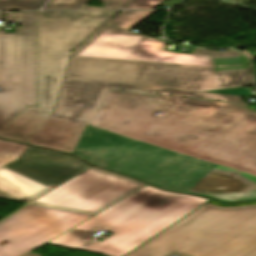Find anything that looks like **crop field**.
I'll use <instances>...</instances> for the list:
<instances>
[{
  "instance_id": "1",
  "label": "crop field",
  "mask_w": 256,
  "mask_h": 256,
  "mask_svg": "<svg viewBox=\"0 0 256 256\" xmlns=\"http://www.w3.org/2000/svg\"><path fill=\"white\" fill-rule=\"evenodd\" d=\"M73 154L188 192L218 164L256 175V113L231 103L110 89Z\"/></svg>"
},
{
  "instance_id": "2",
  "label": "crop field",
  "mask_w": 256,
  "mask_h": 256,
  "mask_svg": "<svg viewBox=\"0 0 256 256\" xmlns=\"http://www.w3.org/2000/svg\"><path fill=\"white\" fill-rule=\"evenodd\" d=\"M167 44L105 25L73 51L65 77L197 92L253 84L239 52L187 55L165 51Z\"/></svg>"
},
{
  "instance_id": "3",
  "label": "crop field",
  "mask_w": 256,
  "mask_h": 256,
  "mask_svg": "<svg viewBox=\"0 0 256 256\" xmlns=\"http://www.w3.org/2000/svg\"><path fill=\"white\" fill-rule=\"evenodd\" d=\"M207 201L147 186L47 244L82 251L102 228L114 234L86 250L122 256Z\"/></svg>"
},
{
  "instance_id": "4",
  "label": "crop field",
  "mask_w": 256,
  "mask_h": 256,
  "mask_svg": "<svg viewBox=\"0 0 256 256\" xmlns=\"http://www.w3.org/2000/svg\"><path fill=\"white\" fill-rule=\"evenodd\" d=\"M121 11L39 12V108L28 107L0 137L29 144L53 114L72 50Z\"/></svg>"
},
{
  "instance_id": "5",
  "label": "crop field",
  "mask_w": 256,
  "mask_h": 256,
  "mask_svg": "<svg viewBox=\"0 0 256 256\" xmlns=\"http://www.w3.org/2000/svg\"><path fill=\"white\" fill-rule=\"evenodd\" d=\"M256 256V205L203 204L124 256Z\"/></svg>"
},
{
  "instance_id": "6",
  "label": "crop field",
  "mask_w": 256,
  "mask_h": 256,
  "mask_svg": "<svg viewBox=\"0 0 256 256\" xmlns=\"http://www.w3.org/2000/svg\"><path fill=\"white\" fill-rule=\"evenodd\" d=\"M109 88L212 99L248 107L235 96L65 78L54 114L31 144L72 153L85 123H92Z\"/></svg>"
},
{
  "instance_id": "7",
  "label": "crop field",
  "mask_w": 256,
  "mask_h": 256,
  "mask_svg": "<svg viewBox=\"0 0 256 256\" xmlns=\"http://www.w3.org/2000/svg\"><path fill=\"white\" fill-rule=\"evenodd\" d=\"M37 21V12H8L20 28L1 33L0 132L28 106L38 107Z\"/></svg>"
},
{
  "instance_id": "8",
  "label": "crop field",
  "mask_w": 256,
  "mask_h": 256,
  "mask_svg": "<svg viewBox=\"0 0 256 256\" xmlns=\"http://www.w3.org/2000/svg\"><path fill=\"white\" fill-rule=\"evenodd\" d=\"M145 186L126 176L91 167L31 204L95 215Z\"/></svg>"
},
{
  "instance_id": "9",
  "label": "crop field",
  "mask_w": 256,
  "mask_h": 256,
  "mask_svg": "<svg viewBox=\"0 0 256 256\" xmlns=\"http://www.w3.org/2000/svg\"><path fill=\"white\" fill-rule=\"evenodd\" d=\"M92 217L28 204L0 223V256H22ZM40 248V247H39Z\"/></svg>"
},
{
  "instance_id": "10",
  "label": "crop field",
  "mask_w": 256,
  "mask_h": 256,
  "mask_svg": "<svg viewBox=\"0 0 256 256\" xmlns=\"http://www.w3.org/2000/svg\"><path fill=\"white\" fill-rule=\"evenodd\" d=\"M4 167L46 186L57 187L91 166L71 156L27 146L16 162Z\"/></svg>"
},
{
  "instance_id": "11",
  "label": "crop field",
  "mask_w": 256,
  "mask_h": 256,
  "mask_svg": "<svg viewBox=\"0 0 256 256\" xmlns=\"http://www.w3.org/2000/svg\"><path fill=\"white\" fill-rule=\"evenodd\" d=\"M188 193L225 202L256 199V176L218 165Z\"/></svg>"
},
{
  "instance_id": "12",
  "label": "crop field",
  "mask_w": 256,
  "mask_h": 256,
  "mask_svg": "<svg viewBox=\"0 0 256 256\" xmlns=\"http://www.w3.org/2000/svg\"><path fill=\"white\" fill-rule=\"evenodd\" d=\"M36 181L22 177L5 168H0V198L21 201L30 200L49 190Z\"/></svg>"
},
{
  "instance_id": "13",
  "label": "crop field",
  "mask_w": 256,
  "mask_h": 256,
  "mask_svg": "<svg viewBox=\"0 0 256 256\" xmlns=\"http://www.w3.org/2000/svg\"><path fill=\"white\" fill-rule=\"evenodd\" d=\"M48 0H0V10H40ZM87 0H51L44 9H80Z\"/></svg>"
},
{
  "instance_id": "14",
  "label": "crop field",
  "mask_w": 256,
  "mask_h": 256,
  "mask_svg": "<svg viewBox=\"0 0 256 256\" xmlns=\"http://www.w3.org/2000/svg\"><path fill=\"white\" fill-rule=\"evenodd\" d=\"M154 12L156 11H122L110 20L108 24L130 30Z\"/></svg>"
},
{
  "instance_id": "15",
  "label": "crop field",
  "mask_w": 256,
  "mask_h": 256,
  "mask_svg": "<svg viewBox=\"0 0 256 256\" xmlns=\"http://www.w3.org/2000/svg\"><path fill=\"white\" fill-rule=\"evenodd\" d=\"M25 147V145L0 140V167L9 162L16 161Z\"/></svg>"
},
{
  "instance_id": "16",
  "label": "crop field",
  "mask_w": 256,
  "mask_h": 256,
  "mask_svg": "<svg viewBox=\"0 0 256 256\" xmlns=\"http://www.w3.org/2000/svg\"><path fill=\"white\" fill-rule=\"evenodd\" d=\"M103 7L84 6L83 9H122L132 0H99Z\"/></svg>"
},
{
  "instance_id": "17",
  "label": "crop field",
  "mask_w": 256,
  "mask_h": 256,
  "mask_svg": "<svg viewBox=\"0 0 256 256\" xmlns=\"http://www.w3.org/2000/svg\"><path fill=\"white\" fill-rule=\"evenodd\" d=\"M163 0H134L125 9H154Z\"/></svg>"
},
{
  "instance_id": "18",
  "label": "crop field",
  "mask_w": 256,
  "mask_h": 256,
  "mask_svg": "<svg viewBox=\"0 0 256 256\" xmlns=\"http://www.w3.org/2000/svg\"><path fill=\"white\" fill-rule=\"evenodd\" d=\"M207 203H210V204L216 205V206H225V207L256 204V202L241 203V204H222V203L214 202V201H212V200L209 201V202H207Z\"/></svg>"
},
{
  "instance_id": "19",
  "label": "crop field",
  "mask_w": 256,
  "mask_h": 256,
  "mask_svg": "<svg viewBox=\"0 0 256 256\" xmlns=\"http://www.w3.org/2000/svg\"><path fill=\"white\" fill-rule=\"evenodd\" d=\"M23 256H41V255L30 253V254H24Z\"/></svg>"
}]
</instances>
